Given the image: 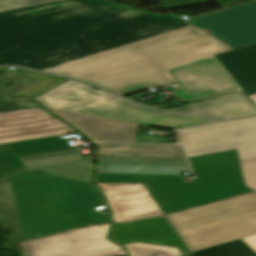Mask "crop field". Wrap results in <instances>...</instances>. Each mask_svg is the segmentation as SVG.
Instances as JSON below:
<instances>
[{
	"instance_id": "1",
	"label": "crop field",
	"mask_w": 256,
	"mask_h": 256,
	"mask_svg": "<svg viewBox=\"0 0 256 256\" xmlns=\"http://www.w3.org/2000/svg\"><path fill=\"white\" fill-rule=\"evenodd\" d=\"M189 26L103 0H64L0 13V65L43 70Z\"/></svg>"
},
{
	"instance_id": "2",
	"label": "crop field",
	"mask_w": 256,
	"mask_h": 256,
	"mask_svg": "<svg viewBox=\"0 0 256 256\" xmlns=\"http://www.w3.org/2000/svg\"><path fill=\"white\" fill-rule=\"evenodd\" d=\"M185 158L96 157L95 182L142 183L164 215L249 191L244 186L236 150Z\"/></svg>"
},
{
	"instance_id": "3",
	"label": "crop field",
	"mask_w": 256,
	"mask_h": 256,
	"mask_svg": "<svg viewBox=\"0 0 256 256\" xmlns=\"http://www.w3.org/2000/svg\"><path fill=\"white\" fill-rule=\"evenodd\" d=\"M226 50L189 26L44 71L124 96L149 87H167L171 79L164 68Z\"/></svg>"
},
{
	"instance_id": "4",
	"label": "crop field",
	"mask_w": 256,
	"mask_h": 256,
	"mask_svg": "<svg viewBox=\"0 0 256 256\" xmlns=\"http://www.w3.org/2000/svg\"><path fill=\"white\" fill-rule=\"evenodd\" d=\"M24 241L111 223L94 209L104 202L92 183L29 169L9 173Z\"/></svg>"
},
{
	"instance_id": "5",
	"label": "crop field",
	"mask_w": 256,
	"mask_h": 256,
	"mask_svg": "<svg viewBox=\"0 0 256 256\" xmlns=\"http://www.w3.org/2000/svg\"><path fill=\"white\" fill-rule=\"evenodd\" d=\"M167 218L192 252L255 235L256 191L167 215Z\"/></svg>"
},
{
	"instance_id": "6",
	"label": "crop field",
	"mask_w": 256,
	"mask_h": 256,
	"mask_svg": "<svg viewBox=\"0 0 256 256\" xmlns=\"http://www.w3.org/2000/svg\"><path fill=\"white\" fill-rule=\"evenodd\" d=\"M35 99L46 108L88 114L120 121L174 129L219 120L148 109L100 90L68 81Z\"/></svg>"
},
{
	"instance_id": "7",
	"label": "crop field",
	"mask_w": 256,
	"mask_h": 256,
	"mask_svg": "<svg viewBox=\"0 0 256 256\" xmlns=\"http://www.w3.org/2000/svg\"><path fill=\"white\" fill-rule=\"evenodd\" d=\"M29 168L63 177L89 181L91 159L81 160L76 147L58 136L0 145V184L7 172Z\"/></svg>"
},
{
	"instance_id": "8",
	"label": "crop field",
	"mask_w": 256,
	"mask_h": 256,
	"mask_svg": "<svg viewBox=\"0 0 256 256\" xmlns=\"http://www.w3.org/2000/svg\"><path fill=\"white\" fill-rule=\"evenodd\" d=\"M187 157L237 149L239 160L256 157V116L176 131Z\"/></svg>"
},
{
	"instance_id": "9",
	"label": "crop field",
	"mask_w": 256,
	"mask_h": 256,
	"mask_svg": "<svg viewBox=\"0 0 256 256\" xmlns=\"http://www.w3.org/2000/svg\"><path fill=\"white\" fill-rule=\"evenodd\" d=\"M108 225L63 232L20 243L28 256H124L125 249L106 239Z\"/></svg>"
},
{
	"instance_id": "10",
	"label": "crop field",
	"mask_w": 256,
	"mask_h": 256,
	"mask_svg": "<svg viewBox=\"0 0 256 256\" xmlns=\"http://www.w3.org/2000/svg\"><path fill=\"white\" fill-rule=\"evenodd\" d=\"M166 71L180 88L174 92L180 101H194L242 89L215 56Z\"/></svg>"
},
{
	"instance_id": "11",
	"label": "crop field",
	"mask_w": 256,
	"mask_h": 256,
	"mask_svg": "<svg viewBox=\"0 0 256 256\" xmlns=\"http://www.w3.org/2000/svg\"><path fill=\"white\" fill-rule=\"evenodd\" d=\"M186 22L231 50L251 45L256 43V0Z\"/></svg>"
},
{
	"instance_id": "12",
	"label": "crop field",
	"mask_w": 256,
	"mask_h": 256,
	"mask_svg": "<svg viewBox=\"0 0 256 256\" xmlns=\"http://www.w3.org/2000/svg\"><path fill=\"white\" fill-rule=\"evenodd\" d=\"M72 132L40 108L0 114V143Z\"/></svg>"
},
{
	"instance_id": "13",
	"label": "crop field",
	"mask_w": 256,
	"mask_h": 256,
	"mask_svg": "<svg viewBox=\"0 0 256 256\" xmlns=\"http://www.w3.org/2000/svg\"><path fill=\"white\" fill-rule=\"evenodd\" d=\"M115 222L163 215L142 184L98 183Z\"/></svg>"
},
{
	"instance_id": "14",
	"label": "crop field",
	"mask_w": 256,
	"mask_h": 256,
	"mask_svg": "<svg viewBox=\"0 0 256 256\" xmlns=\"http://www.w3.org/2000/svg\"><path fill=\"white\" fill-rule=\"evenodd\" d=\"M51 110V109H50ZM94 141L134 142L138 124L51 110Z\"/></svg>"
},
{
	"instance_id": "15",
	"label": "crop field",
	"mask_w": 256,
	"mask_h": 256,
	"mask_svg": "<svg viewBox=\"0 0 256 256\" xmlns=\"http://www.w3.org/2000/svg\"><path fill=\"white\" fill-rule=\"evenodd\" d=\"M194 115L234 118L256 114V108L241 92L227 94L172 109Z\"/></svg>"
},
{
	"instance_id": "16",
	"label": "crop field",
	"mask_w": 256,
	"mask_h": 256,
	"mask_svg": "<svg viewBox=\"0 0 256 256\" xmlns=\"http://www.w3.org/2000/svg\"><path fill=\"white\" fill-rule=\"evenodd\" d=\"M216 57L247 95L256 94V44Z\"/></svg>"
},
{
	"instance_id": "17",
	"label": "crop field",
	"mask_w": 256,
	"mask_h": 256,
	"mask_svg": "<svg viewBox=\"0 0 256 256\" xmlns=\"http://www.w3.org/2000/svg\"><path fill=\"white\" fill-rule=\"evenodd\" d=\"M94 144L97 155L184 157L178 145Z\"/></svg>"
},
{
	"instance_id": "18",
	"label": "crop field",
	"mask_w": 256,
	"mask_h": 256,
	"mask_svg": "<svg viewBox=\"0 0 256 256\" xmlns=\"http://www.w3.org/2000/svg\"><path fill=\"white\" fill-rule=\"evenodd\" d=\"M8 67H0V72L3 73H13V74H26L32 77H36L41 79V81L15 93L14 95H19V96H24V97H29L32 98L68 79L54 76V75H49V74H44V73H39V72H34V71H29V70H24L18 68L16 71L9 70L7 69Z\"/></svg>"
},
{
	"instance_id": "19",
	"label": "crop field",
	"mask_w": 256,
	"mask_h": 256,
	"mask_svg": "<svg viewBox=\"0 0 256 256\" xmlns=\"http://www.w3.org/2000/svg\"><path fill=\"white\" fill-rule=\"evenodd\" d=\"M243 242L241 240L232 241L187 256H256V253Z\"/></svg>"
},
{
	"instance_id": "20",
	"label": "crop field",
	"mask_w": 256,
	"mask_h": 256,
	"mask_svg": "<svg viewBox=\"0 0 256 256\" xmlns=\"http://www.w3.org/2000/svg\"><path fill=\"white\" fill-rule=\"evenodd\" d=\"M246 186L256 190V158L240 161ZM256 252V235L241 239Z\"/></svg>"
},
{
	"instance_id": "21",
	"label": "crop field",
	"mask_w": 256,
	"mask_h": 256,
	"mask_svg": "<svg viewBox=\"0 0 256 256\" xmlns=\"http://www.w3.org/2000/svg\"><path fill=\"white\" fill-rule=\"evenodd\" d=\"M128 249L130 256H142L144 254L162 253L164 256H174L180 254V252L173 247H158L140 243H133L125 245Z\"/></svg>"
},
{
	"instance_id": "22",
	"label": "crop field",
	"mask_w": 256,
	"mask_h": 256,
	"mask_svg": "<svg viewBox=\"0 0 256 256\" xmlns=\"http://www.w3.org/2000/svg\"><path fill=\"white\" fill-rule=\"evenodd\" d=\"M38 107L36 102L14 97H0V113L32 109Z\"/></svg>"
},
{
	"instance_id": "23",
	"label": "crop field",
	"mask_w": 256,
	"mask_h": 256,
	"mask_svg": "<svg viewBox=\"0 0 256 256\" xmlns=\"http://www.w3.org/2000/svg\"><path fill=\"white\" fill-rule=\"evenodd\" d=\"M58 0H1L0 1V12L14 9V8H21L26 6H32L42 3H48Z\"/></svg>"
},
{
	"instance_id": "24",
	"label": "crop field",
	"mask_w": 256,
	"mask_h": 256,
	"mask_svg": "<svg viewBox=\"0 0 256 256\" xmlns=\"http://www.w3.org/2000/svg\"><path fill=\"white\" fill-rule=\"evenodd\" d=\"M251 99H252V101L256 104V95H250L249 96Z\"/></svg>"
},
{
	"instance_id": "25",
	"label": "crop field",
	"mask_w": 256,
	"mask_h": 256,
	"mask_svg": "<svg viewBox=\"0 0 256 256\" xmlns=\"http://www.w3.org/2000/svg\"><path fill=\"white\" fill-rule=\"evenodd\" d=\"M181 256H183V255H181Z\"/></svg>"
}]
</instances>
